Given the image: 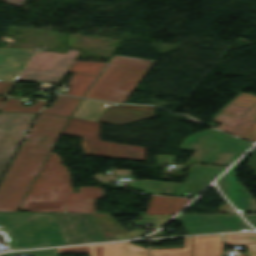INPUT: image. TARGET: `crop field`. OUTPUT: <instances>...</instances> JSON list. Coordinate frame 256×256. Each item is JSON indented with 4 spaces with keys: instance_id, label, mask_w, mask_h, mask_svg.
<instances>
[{
    "instance_id": "crop-field-1",
    "label": "crop field",
    "mask_w": 256,
    "mask_h": 256,
    "mask_svg": "<svg viewBox=\"0 0 256 256\" xmlns=\"http://www.w3.org/2000/svg\"><path fill=\"white\" fill-rule=\"evenodd\" d=\"M69 175L60 160L51 153L40 174L33 183L20 209L29 212H94L96 199L103 191L96 187H80V193H72Z\"/></svg>"
},
{
    "instance_id": "crop-field-2",
    "label": "crop field",
    "mask_w": 256,
    "mask_h": 256,
    "mask_svg": "<svg viewBox=\"0 0 256 256\" xmlns=\"http://www.w3.org/2000/svg\"><path fill=\"white\" fill-rule=\"evenodd\" d=\"M68 118L40 114L0 182V211L16 212L48 154L33 152L46 133L60 135Z\"/></svg>"
},
{
    "instance_id": "crop-field-3",
    "label": "crop field",
    "mask_w": 256,
    "mask_h": 256,
    "mask_svg": "<svg viewBox=\"0 0 256 256\" xmlns=\"http://www.w3.org/2000/svg\"><path fill=\"white\" fill-rule=\"evenodd\" d=\"M0 231L10 249L66 245L53 213H1Z\"/></svg>"
},
{
    "instance_id": "crop-field-4",
    "label": "crop field",
    "mask_w": 256,
    "mask_h": 256,
    "mask_svg": "<svg viewBox=\"0 0 256 256\" xmlns=\"http://www.w3.org/2000/svg\"><path fill=\"white\" fill-rule=\"evenodd\" d=\"M147 69L122 63H108L84 97L124 102Z\"/></svg>"
},
{
    "instance_id": "crop-field-5",
    "label": "crop field",
    "mask_w": 256,
    "mask_h": 256,
    "mask_svg": "<svg viewBox=\"0 0 256 256\" xmlns=\"http://www.w3.org/2000/svg\"><path fill=\"white\" fill-rule=\"evenodd\" d=\"M251 144L214 129L182 141L181 150L195 151L188 163L214 164L224 152L243 153Z\"/></svg>"
},
{
    "instance_id": "crop-field-6",
    "label": "crop field",
    "mask_w": 256,
    "mask_h": 256,
    "mask_svg": "<svg viewBox=\"0 0 256 256\" xmlns=\"http://www.w3.org/2000/svg\"><path fill=\"white\" fill-rule=\"evenodd\" d=\"M213 120L222 123L219 129L256 141V96L241 92Z\"/></svg>"
},
{
    "instance_id": "crop-field-7",
    "label": "crop field",
    "mask_w": 256,
    "mask_h": 256,
    "mask_svg": "<svg viewBox=\"0 0 256 256\" xmlns=\"http://www.w3.org/2000/svg\"><path fill=\"white\" fill-rule=\"evenodd\" d=\"M67 245L106 241L93 216L109 214L54 213Z\"/></svg>"
},
{
    "instance_id": "crop-field-8",
    "label": "crop field",
    "mask_w": 256,
    "mask_h": 256,
    "mask_svg": "<svg viewBox=\"0 0 256 256\" xmlns=\"http://www.w3.org/2000/svg\"><path fill=\"white\" fill-rule=\"evenodd\" d=\"M35 116L0 112V162L9 163Z\"/></svg>"
},
{
    "instance_id": "crop-field-9",
    "label": "crop field",
    "mask_w": 256,
    "mask_h": 256,
    "mask_svg": "<svg viewBox=\"0 0 256 256\" xmlns=\"http://www.w3.org/2000/svg\"><path fill=\"white\" fill-rule=\"evenodd\" d=\"M178 217L187 234L251 229L239 215H179Z\"/></svg>"
},
{
    "instance_id": "crop-field-10",
    "label": "crop field",
    "mask_w": 256,
    "mask_h": 256,
    "mask_svg": "<svg viewBox=\"0 0 256 256\" xmlns=\"http://www.w3.org/2000/svg\"><path fill=\"white\" fill-rule=\"evenodd\" d=\"M245 156L224 173L217 180V183L228 199L240 212H256V201L245 190L244 186L238 183L234 178L235 171L243 162Z\"/></svg>"
},
{
    "instance_id": "crop-field-11",
    "label": "crop field",
    "mask_w": 256,
    "mask_h": 256,
    "mask_svg": "<svg viewBox=\"0 0 256 256\" xmlns=\"http://www.w3.org/2000/svg\"><path fill=\"white\" fill-rule=\"evenodd\" d=\"M105 64L106 63L74 61L68 71L75 73L68 83L70 84L69 92L65 94L83 97L86 90Z\"/></svg>"
},
{
    "instance_id": "crop-field-12",
    "label": "crop field",
    "mask_w": 256,
    "mask_h": 256,
    "mask_svg": "<svg viewBox=\"0 0 256 256\" xmlns=\"http://www.w3.org/2000/svg\"><path fill=\"white\" fill-rule=\"evenodd\" d=\"M153 116L154 107L151 106L110 104L98 122L122 125Z\"/></svg>"
},
{
    "instance_id": "crop-field-13",
    "label": "crop field",
    "mask_w": 256,
    "mask_h": 256,
    "mask_svg": "<svg viewBox=\"0 0 256 256\" xmlns=\"http://www.w3.org/2000/svg\"><path fill=\"white\" fill-rule=\"evenodd\" d=\"M58 253H89V256H147V250L130 251L129 242L57 248Z\"/></svg>"
},
{
    "instance_id": "crop-field-14",
    "label": "crop field",
    "mask_w": 256,
    "mask_h": 256,
    "mask_svg": "<svg viewBox=\"0 0 256 256\" xmlns=\"http://www.w3.org/2000/svg\"><path fill=\"white\" fill-rule=\"evenodd\" d=\"M100 125L98 122L71 118L63 134L83 137L85 154L98 156Z\"/></svg>"
},
{
    "instance_id": "crop-field-15",
    "label": "crop field",
    "mask_w": 256,
    "mask_h": 256,
    "mask_svg": "<svg viewBox=\"0 0 256 256\" xmlns=\"http://www.w3.org/2000/svg\"><path fill=\"white\" fill-rule=\"evenodd\" d=\"M33 52L17 48H0V81L15 82Z\"/></svg>"
},
{
    "instance_id": "crop-field-16",
    "label": "crop field",
    "mask_w": 256,
    "mask_h": 256,
    "mask_svg": "<svg viewBox=\"0 0 256 256\" xmlns=\"http://www.w3.org/2000/svg\"><path fill=\"white\" fill-rule=\"evenodd\" d=\"M99 156L145 161V147L100 141Z\"/></svg>"
},
{
    "instance_id": "crop-field-17",
    "label": "crop field",
    "mask_w": 256,
    "mask_h": 256,
    "mask_svg": "<svg viewBox=\"0 0 256 256\" xmlns=\"http://www.w3.org/2000/svg\"><path fill=\"white\" fill-rule=\"evenodd\" d=\"M190 199L152 195L146 214H175Z\"/></svg>"
},
{
    "instance_id": "crop-field-18",
    "label": "crop field",
    "mask_w": 256,
    "mask_h": 256,
    "mask_svg": "<svg viewBox=\"0 0 256 256\" xmlns=\"http://www.w3.org/2000/svg\"><path fill=\"white\" fill-rule=\"evenodd\" d=\"M221 251L220 235L192 237V256H219Z\"/></svg>"
},
{
    "instance_id": "crop-field-19",
    "label": "crop field",
    "mask_w": 256,
    "mask_h": 256,
    "mask_svg": "<svg viewBox=\"0 0 256 256\" xmlns=\"http://www.w3.org/2000/svg\"><path fill=\"white\" fill-rule=\"evenodd\" d=\"M109 104L83 99L77 107L73 117L97 121Z\"/></svg>"
},
{
    "instance_id": "crop-field-20",
    "label": "crop field",
    "mask_w": 256,
    "mask_h": 256,
    "mask_svg": "<svg viewBox=\"0 0 256 256\" xmlns=\"http://www.w3.org/2000/svg\"><path fill=\"white\" fill-rule=\"evenodd\" d=\"M79 53L69 49L51 68L26 66L24 70L64 75Z\"/></svg>"
},
{
    "instance_id": "crop-field-21",
    "label": "crop field",
    "mask_w": 256,
    "mask_h": 256,
    "mask_svg": "<svg viewBox=\"0 0 256 256\" xmlns=\"http://www.w3.org/2000/svg\"><path fill=\"white\" fill-rule=\"evenodd\" d=\"M226 168L193 165L185 182L209 183Z\"/></svg>"
},
{
    "instance_id": "crop-field-22",
    "label": "crop field",
    "mask_w": 256,
    "mask_h": 256,
    "mask_svg": "<svg viewBox=\"0 0 256 256\" xmlns=\"http://www.w3.org/2000/svg\"><path fill=\"white\" fill-rule=\"evenodd\" d=\"M79 101L80 99L78 98L58 96L50 109L44 108L42 113L70 117L74 107Z\"/></svg>"
},
{
    "instance_id": "crop-field-23",
    "label": "crop field",
    "mask_w": 256,
    "mask_h": 256,
    "mask_svg": "<svg viewBox=\"0 0 256 256\" xmlns=\"http://www.w3.org/2000/svg\"><path fill=\"white\" fill-rule=\"evenodd\" d=\"M45 103L46 101H37L31 107H23V102L19 99L6 98L0 111L39 113Z\"/></svg>"
},
{
    "instance_id": "crop-field-24",
    "label": "crop field",
    "mask_w": 256,
    "mask_h": 256,
    "mask_svg": "<svg viewBox=\"0 0 256 256\" xmlns=\"http://www.w3.org/2000/svg\"><path fill=\"white\" fill-rule=\"evenodd\" d=\"M63 54L37 51L28 65L51 67Z\"/></svg>"
},
{
    "instance_id": "crop-field-25",
    "label": "crop field",
    "mask_w": 256,
    "mask_h": 256,
    "mask_svg": "<svg viewBox=\"0 0 256 256\" xmlns=\"http://www.w3.org/2000/svg\"><path fill=\"white\" fill-rule=\"evenodd\" d=\"M186 248L151 250V256H191V237H184Z\"/></svg>"
},
{
    "instance_id": "crop-field-26",
    "label": "crop field",
    "mask_w": 256,
    "mask_h": 256,
    "mask_svg": "<svg viewBox=\"0 0 256 256\" xmlns=\"http://www.w3.org/2000/svg\"><path fill=\"white\" fill-rule=\"evenodd\" d=\"M224 238L227 245L251 243V242H256V233L248 232V233L224 234Z\"/></svg>"
},
{
    "instance_id": "crop-field-27",
    "label": "crop field",
    "mask_w": 256,
    "mask_h": 256,
    "mask_svg": "<svg viewBox=\"0 0 256 256\" xmlns=\"http://www.w3.org/2000/svg\"><path fill=\"white\" fill-rule=\"evenodd\" d=\"M110 62H122V63H128V64H134V65H140V66H146V67H150V65L153 63L152 60L136 58V57H128V56H119V55H113Z\"/></svg>"
},
{
    "instance_id": "crop-field-28",
    "label": "crop field",
    "mask_w": 256,
    "mask_h": 256,
    "mask_svg": "<svg viewBox=\"0 0 256 256\" xmlns=\"http://www.w3.org/2000/svg\"><path fill=\"white\" fill-rule=\"evenodd\" d=\"M25 255L58 256L56 252V248L0 254V256H25Z\"/></svg>"
},
{
    "instance_id": "crop-field-29",
    "label": "crop field",
    "mask_w": 256,
    "mask_h": 256,
    "mask_svg": "<svg viewBox=\"0 0 256 256\" xmlns=\"http://www.w3.org/2000/svg\"><path fill=\"white\" fill-rule=\"evenodd\" d=\"M57 138L58 136L56 135L46 134L45 137H42V139L40 140L39 144L37 145L34 151L50 153Z\"/></svg>"
},
{
    "instance_id": "crop-field-30",
    "label": "crop field",
    "mask_w": 256,
    "mask_h": 256,
    "mask_svg": "<svg viewBox=\"0 0 256 256\" xmlns=\"http://www.w3.org/2000/svg\"><path fill=\"white\" fill-rule=\"evenodd\" d=\"M240 155L241 154L224 153L215 164L228 166Z\"/></svg>"
},
{
    "instance_id": "crop-field-31",
    "label": "crop field",
    "mask_w": 256,
    "mask_h": 256,
    "mask_svg": "<svg viewBox=\"0 0 256 256\" xmlns=\"http://www.w3.org/2000/svg\"><path fill=\"white\" fill-rule=\"evenodd\" d=\"M176 156L158 155L156 158L157 164H174Z\"/></svg>"
},
{
    "instance_id": "crop-field-32",
    "label": "crop field",
    "mask_w": 256,
    "mask_h": 256,
    "mask_svg": "<svg viewBox=\"0 0 256 256\" xmlns=\"http://www.w3.org/2000/svg\"><path fill=\"white\" fill-rule=\"evenodd\" d=\"M12 85L13 83L0 82V94L6 95V93L11 88Z\"/></svg>"
},
{
    "instance_id": "crop-field-33",
    "label": "crop field",
    "mask_w": 256,
    "mask_h": 256,
    "mask_svg": "<svg viewBox=\"0 0 256 256\" xmlns=\"http://www.w3.org/2000/svg\"><path fill=\"white\" fill-rule=\"evenodd\" d=\"M244 245L248 248L249 256H256V243Z\"/></svg>"
},
{
    "instance_id": "crop-field-34",
    "label": "crop field",
    "mask_w": 256,
    "mask_h": 256,
    "mask_svg": "<svg viewBox=\"0 0 256 256\" xmlns=\"http://www.w3.org/2000/svg\"><path fill=\"white\" fill-rule=\"evenodd\" d=\"M254 227H256V214H242Z\"/></svg>"
},
{
    "instance_id": "crop-field-35",
    "label": "crop field",
    "mask_w": 256,
    "mask_h": 256,
    "mask_svg": "<svg viewBox=\"0 0 256 256\" xmlns=\"http://www.w3.org/2000/svg\"><path fill=\"white\" fill-rule=\"evenodd\" d=\"M7 164L5 163H0V176L2 175L3 171L5 170Z\"/></svg>"
},
{
    "instance_id": "crop-field-36",
    "label": "crop field",
    "mask_w": 256,
    "mask_h": 256,
    "mask_svg": "<svg viewBox=\"0 0 256 256\" xmlns=\"http://www.w3.org/2000/svg\"><path fill=\"white\" fill-rule=\"evenodd\" d=\"M25 73H33V74H41V75H49V76H57V77H62V76H59V75H51V74H43V73H35V72H27V71H23Z\"/></svg>"
},
{
    "instance_id": "crop-field-37",
    "label": "crop field",
    "mask_w": 256,
    "mask_h": 256,
    "mask_svg": "<svg viewBox=\"0 0 256 256\" xmlns=\"http://www.w3.org/2000/svg\"><path fill=\"white\" fill-rule=\"evenodd\" d=\"M114 223L115 225L121 230V231H125L122 227H120L112 218L111 216H108Z\"/></svg>"
},
{
    "instance_id": "crop-field-38",
    "label": "crop field",
    "mask_w": 256,
    "mask_h": 256,
    "mask_svg": "<svg viewBox=\"0 0 256 256\" xmlns=\"http://www.w3.org/2000/svg\"><path fill=\"white\" fill-rule=\"evenodd\" d=\"M3 99H4V97H1V96H0V106H1V104H2Z\"/></svg>"
}]
</instances>
